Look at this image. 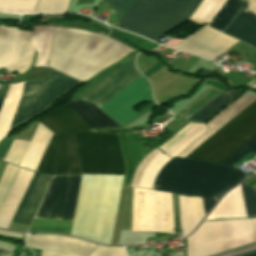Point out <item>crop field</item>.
Here are the masks:
<instances>
[{"instance_id": "crop-field-1", "label": "crop field", "mask_w": 256, "mask_h": 256, "mask_svg": "<svg viewBox=\"0 0 256 256\" xmlns=\"http://www.w3.org/2000/svg\"><path fill=\"white\" fill-rule=\"evenodd\" d=\"M54 135L36 169L44 174L123 177L124 162L116 134L99 133L65 105L38 119ZM75 133H87L76 134ZM103 176L82 175L71 235L91 238ZM123 178L104 177L92 241L110 244Z\"/></svg>"}, {"instance_id": "crop-field-2", "label": "crop field", "mask_w": 256, "mask_h": 256, "mask_svg": "<svg viewBox=\"0 0 256 256\" xmlns=\"http://www.w3.org/2000/svg\"><path fill=\"white\" fill-rule=\"evenodd\" d=\"M247 154L256 157V137L221 164L231 166ZM222 165L174 157L160 170L153 189L202 197L206 215L223 193L248 177Z\"/></svg>"}, {"instance_id": "crop-field-3", "label": "crop field", "mask_w": 256, "mask_h": 256, "mask_svg": "<svg viewBox=\"0 0 256 256\" xmlns=\"http://www.w3.org/2000/svg\"><path fill=\"white\" fill-rule=\"evenodd\" d=\"M132 52L114 39L55 27L49 66L84 82Z\"/></svg>"}, {"instance_id": "crop-field-4", "label": "crop field", "mask_w": 256, "mask_h": 256, "mask_svg": "<svg viewBox=\"0 0 256 256\" xmlns=\"http://www.w3.org/2000/svg\"><path fill=\"white\" fill-rule=\"evenodd\" d=\"M255 99L256 97L241 96L207 123L210 129L177 156L183 158L187 156ZM254 136H256V100L185 158L220 164Z\"/></svg>"}, {"instance_id": "crop-field-5", "label": "crop field", "mask_w": 256, "mask_h": 256, "mask_svg": "<svg viewBox=\"0 0 256 256\" xmlns=\"http://www.w3.org/2000/svg\"><path fill=\"white\" fill-rule=\"evenodd\" d=\"M120 16L134 0H105ZM202 0H135L116 24L158 41L161 35L187 20Z\"/></svg>"}, {"instance_id": "crop-field-6", "label": "crop field", "mask_w": 256, "mask_h": 256, "mask_svg": "<svg viewBox=\"0 0 256 256\" xmlns=\"http://www.w3.org/2000/svg\"><path fill=\"white\" fill-rule=\"evenodd\" d=\"M81 175L54 176L35 218L72 221ZM34 219L28 232L70 235L72 222Z\"/></svg>"}, {"instance_id": "crop-field-7", "label": "crop field", "mask_w": 256, "mask_h": 256, "mask_svg": "<svg viewBox=\"0 0 256 256\" xmlns=\"http://www.w3.org/2000/svg\"><path fill=\"white\" fill-rule=\"evenodd\" d=\"M187 241V256H209L255 242L251 219L202 222Z\"/></svg>"}, {"instance_id": "crop-field-8", "label": "crop field", "mask_w": 256, "mask_h": 256, "mask_svg": "<svg viewBox=\"0 0 256 256\" xmlns=\"http://www.w3.org/2000/svg\"><path fill=\"white\" fill-rule=\"evenodd\" d=\"M174 234L171 193L133 188L132 232Z\"/></svg>"}, {"instance_id": "crop-field-9", "label": "crop field", "mask_w": 256, "mask_h": 256, "mask_svg": "<svg viewBox=\"0 0 256 256\" xmlns=\"http://www.w3.org/2000/svg\"><path fill=\"white\" fill-rule=\"evenodd\" d=\"M79 82L56 70L41 81H30L14 129Z\"/></svg>"}, {"instance_id": "crop-field-10", "label": "crop field", "mask_w": 256, "mask_h": 256, "mask_svg": "<svg viewBox=\"0 0 256 256\" xmlns=\"http://www.w3.org/2000/svg\"><path fill=\"white\" fill-rule=\"evenodd\" d=\"M149 98V84L140 76L99 109L122 126L138 115L131 107Z\"/></svg>"}, {"instance_id": "crop-field-11", "label": "crop field", "mask_w": 256, "mask_h": 256, "mask_svg": "<svg viewBox=\"0 0 256 256\" xmlns=\"http://www.w3.org/2000/svg\"><path fill=\"white\" fill-rule=\"evenodd\" d=\"M238 40L205 26L180 42L174 49L214 59Z\"/></svg>"}, {"instance_id": "crop-field-12", "label": "crop field", "mask_w": 256, "mask_h": 256, "mask_svg": "<svg viewBox=\"0 0 256 256\" xmlns=\"http://www.w3.org/2000/svg\"><path fill=\"white\" fill-rule=\"evenodd\" d=\"M26 245L29 248L71 254L77 256H88L97 244L86 242L72 237H64L51 234L28 235Z\"/></svg>"}, {"instance_id": "crop-field-13", "label": "crop field", "mask_w": 256, "mask_h": 256, "mask_svg": "<svg viewBox=\"0 0 256 256\" xmlns=\"http://www.w3.org/2000/svg\"><path fill=\"white\" fill-rule=\"evenodd\" d=\"M228 1L229 0H203L189 20L197 24L206 22L212 23ZM244 3L245 0H230L214 22L209 26L220 31L229 23Z\"/></svg>"}, {"instance_id": "crop-field-14", "label": "crop field", "mask_w": 256, "mask_h": 256, "mask_svg": "<svg viewBox=\"0 0 256 256\" xmlns=\"http://www.w3.org/2000/svg\"><path fill=\"white\" fill-rule=\"evenodd\" d=\"M134 58L124 64L81 100L103 105L121 89L140 75L134 66Z\"/></svg>"}, {"instance_id": "crop-field-15", "label": "crop field", "mask_w": 256, "mask_h": 256, "mask_svg": "<svg viewBox=\"0 0 256 256\" xmlns=\"http://www.w3.org/2000/svg\"><path fill=\"white\" fill-rule=\"evenodd\" d=\"M117 135L126 166L123 185L129 187L131 176L136 166L146 155L147 150L144 147L138 132L122 133Z\"/></svg>"}, {"instance_id": "crop-field-16", "label": "crop field", "mask_w": 256, "mask_h": 256, "mask_svg": "<svg viewBox=\"0 0 256 256\" xmlns=\"http://www.w3.org/2000/svg\"><path fill=\"white\" fill-rule=\"evenodd\" d=\"M40 175L41 174L34 173L32 179L25 191V194L19 204V207L14 215V218H13L14 221H18V222L20 221ZM50 179H51V176L41 175V177L38 181V184L33 192V195L29 201V204L24 212V215L20 221L21 223H26V224L30 223V221L36 211V208H37V206L47 188V185H48Z\"/></svg>"}, {"instance_id": "crop-field-17", "label": "crop field", "mask_w": 256, "mask_h": 256, "mask_svg": "<svg viewBox=\"0 0 256 256\" xmlns=\"http://www.w3.org/2000/svg\"><path fill=\"white\" fill-rule=\"evenodd\" d=\"M248 1L222 30L256 47V16L247 10Z\"/></svg>"}, {"instance_id": "crop-field-18", "label": "crop field", "mask_w": 256, "mask_h": 256, "mask_svg": "<svg viewBox=\"0 0 256 256\" xmlns=\"http://www.w3.org/2000/svg\"><path fill=\"white\" fill-rule=\"evenodd\" d=\"M33 172L20 169L0 211V228H8Z\"/></svg>"}, {"instance_id": "crop-field-19", "label": "crop field", "mask_w": 256, "mask_h": 256, "mask_svg": "<svg viewBox=\"0 0 256 256\" xmlns=\"http://www.w3.org/2000/svg\"><path fill=\"white\" fill-rule=\"evenodd\" d=\"M52 134V132H50L46 127L39 123L22 157L19 167L34 171Z\"/></svg>"}, {"instance_id": "crop-field-20", "label": "crop field", "mask_w": 256, "mask_h": 256, "mask_svg": "<svg viewBox=\"0 0 256 256\" xmlns=\"http://www.w3.org/2000/svg\"><path fill=\"white\" fill-rule=\"evenodd\" d=\"M182 237L189 235L204 217L201 198L179 196Z\"/></svg>"}, {"instance_id": "crop-field-21", "label": "crop field", "mask_w": 256, "mask_h": 256, "mask_svg": "<svg viewBox=\"0 0 256 256\" xmlns=\"http://www.w3.org/2000/svg\"><path fill=\"white\" fill-rule=\"evenodd\" d=\"M66 105L93 128H110L119 126L93 104H76L69 102Z\"/></svg>"}, {"instance_id": "crop-field-22", "label": "crop field", "mask_w": 256, "mask_h": 256, "mask_svg": "<svg viewBox=\"0 0 256 256\" xmlns=\"http://www.w3.org/2000/svg\"><path fill=\"white\" fill-rule=\"evenodd\" d=\"M29 37L30 33L19 31L14 63L5 67L9 72L16 69L20 74H22L28 69L34 51V49L28 44Z\"/></svg>"}, {"instance_id": "crop-field-23", "label": "crop field", "mask_w": 256, "mask_h": 256, "mask_svg": "<svg viewBox=\"0 0 256 256\" xmlns=\"http://www.w3.org/2000/svg\"><path fill=\"white\" fill-rule=\"evenodd\" d=\"M138 52L128 55L121 59L119 62L113 64L112 66L108 67L107 69L101 71L99 74H97L93 79H91L85 86H83L81 89L76 91L72 95V101L77 102L81 97H83L86 93H88L90 90H92L95 86H97L100 82H102L105 78H107L109 75H111L114 71H116L119 67H121L125 62H127L130 58H132L135 54Z\"/></svg>"}, {"instance_id": "crop-field-24", "label": "crop field", "mask_w": 256, "mask_h": 256, "mask_svg": "<svg viewBox=\"0 0 256 256\" xmlns=\"http://www.w3.org/2000/svg\"><path fill=\"white\" fill-rule=\"evenodd\" d=\"M37 0H0V12L33 13Z\"/></svg>"}, {"instance_id": "crop-field-25", "label": "crop field", "mask_w": 256, "mask_h": 256, "mask_svg": "<svg viewBox=\"0 0 256 256\" xmlns=\"http://www.w3.org/2000/svg\"><path fill=\"white\" fill-rule=\"evenodd\" d=\"M231 100L232 98L221 94L187 121L203 122L207 118H209L213 113H215L223 106H225L227 103H229Z\"/></svg>"}, {"instance_id": "crop-field-26", "label": "crop field", "mask_w": 256, "mask_h": 256, "mask_svg": "<svg viewBox=\"0 0 256 256\" xmlns=\"http://www.w3.org/2000/svg\"><path fill=\"white\" fill-rule=\"evenodd\" d=\"M19 169L20 168L9 164L1 181H0V208L6 198V195L9 191Z\"/></svg>"}, {"instance_id": "crop-field-27", "label": "crop field", "mask_w": 256, "mask_h": 256, "mask_svg": "<svg viewBox=\"0 0 256 256\" xmlns=\"http://www.w3.org/2000/svg\"><path fill=\"white\" fill-rule=\"evenodd\" d=\"M42 256H70L43 251ZM89 256H126L122 247H104L98 245Z\"/></svg>"}, {"instance_id": "crop-field-28", "label": "crop field", "mask_w": 256, "mask_h": 256, "mask_svg": "<svg viewBox=\"0 0 256 256\" xmlns=\"http://www.w3.org/2000/svg\"><path fill=\"white\" fill-rule=\"evenodd\" d=\"M28 143L29 141L14 140L4 161L18 165Z\"/></svg>"}, {"instance_id": "crop-field-29", "label": "crop field", "mask_w": 256, "mask_h": 256, "mask_svg": "<svg viewBox=\"0 0 256 256\" xmlns=\"http://www.w3.org/2000/svg\"><path fill=\"white\" fill-rule=\"evenodd\" d=\"M247 217H256V191L241 184Z\"/></svg>"}, {"instance_id": "crop-field-30", "label": "crop field", "mask_w": 256, "mask_h": 256, "mask_svg": "<svg viewBox=\"0 0 256 256\" xmlns=\"http://www.w3.org/2000/svg\"><path fill=\"white\" fill-rule=\"evenodd\" d=\"M14 246L0 242V256H12Z\"/></svg>"}, {"instance_id": "crop-field-31", "label": "crop field", "mask_w": 256, "mask_h": 256, "mask_svg": "<svg viewBox=\"0 0 256 256\" xmlns=\"http://www.w3.org/2000/svg\"><path fill=\"white\" fill-rule=\"evenodd\" d=\"M248 10L256 14V0H249Z\"/></svg>"}, {"instance_id": "crop-field-32", "label": "crop field", "mask_w": 256, "mask_h": 256, "mask_svg": "<svg viewBox=\"0 0 256 256\" xmlns=\"http://www.w3.org/2000/svg\"><path fill=\"white\" fill-rule=\"evenodd\" d=\"M0 234L11 235V236H16V237H22L23 236V234L6 232V231H0Z\"/></svg>"}, {"instance_id": "crop-field-33", "label": "crop field", "mask_w": 256, "mask_h": 256, "mask_svg": "<svg viewBox=\"0 0 256 256\" xmlns=\"http://www.w3.org/2000/svg\"><path fill=\"white\" fill-rule=\"evenodd\" d=\"M3 100H4V99H0V108H1V105H2V103H3Z\"/></svg>"}, {"instance_id": "crop-field-34", "label": "crop field", "mask_w": 256, "mask_h": 256, "mask_svg": "<svg viewBox=\"0 0 256 256\" xmlns=\"http://www.w3.org/2000/svg\"><path fill=\"white\" fill-rule=\"evenodd\" d=\"M248 256H256V253H254V254H251V255H248Z\"/></svg>"}]
</instances>
